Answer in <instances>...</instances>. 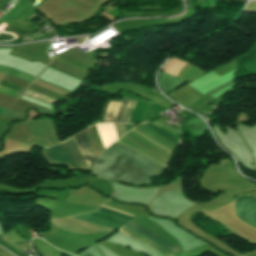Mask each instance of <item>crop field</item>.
Segmentation results:
<instances>
[{"label": "crop field", "mask_w": 256, "mask_h": 256, "mask_svg": "<svg viewBox=\"0 0 256 256\" xmlns=\"http://www.w3.org/2000/svg\"><path fill=\"white\" fill-rule=\"evenodd\" d=\"M103 155L149 177L160 175L165 170L149 159L116 143L107 148ZM103 155L100 156L94 166V172L97 176L106 177L109 180L121 181L133 185L152 184L149 177Z\"/></svg>", "instance_id": "1"}, {"label": "crop field", "mask_w": 256, "mask_h": 256, "mask_svg": "<svg viewBox=\"0 0 256 256\" xmlns=\"http://www.w3.org/2000/svg\"><path fill=\"white\" fill-rule=\"evenodd\" d=\"M117 137H120L126 132L125 125L124 124H113ZM112 124H104V125H96L94 126L99 138L104 146L106 148L108 145H110L112 142H114L117 137L114 131ZM73 139L80 150L85 162L87 163L89 168H92L95 157L92 154L91 150L89 149L87 143L85 142L84 138L82 137L81 133L73 136Z\"/></svg>", "instance_id": "2"}, {"label": "crop field", "mask_w": 256, "mask_h": 256, "mask_svg": "<svg viewBox=\"0 0 256 256\" xmlns=\"http://www.w3.org/2000/svg\"><path fill=\"white\" fill-rule=\"evenodd\" d=\"M132 232L138 234L139 236L147 239L148 241L156 244L157 246L163 248L164 250L172 253L173 255L181 253V249L175 247L174 245L170 244L169 242L163 240L162 238L156 236L155 234L151 233L150 231L144 229L143 227L139 226L134 222H129L125 226H123ZM121 227L119 230L130 236L131 238L135 239L136 241L140 242L141 244L155 250L156 252L160 253L163 256H172V254L164 251L163 249L157 247L156 245L148 242L147 240L139 237L138 235L132 233L131 231Z\"/></svg>", "instance_id": "3"}, {"label": "crop field", "mask_w": 256, "mask_h": 256, "mask_svg": "<svg viewBox=\"0 0 256 256\" xmlns=\"http://www.w3.org/2000/svg\"><path fill=\"white\" fill-rule=\"evenodd\" d=\"M71 163L84 162L81 154L79 153L72 137L66 142L62 143ZM62 145L52 148H46L43 152V157L50 163V165L68 164L70 170L87 168L85 163L71 164Z\"/></svg>", "instance_id": "4"}, {"label": "crop field", "mask_w": 256, "mask_h": 256, "mask_svg": "<svg viewBox=\"0 0 256 256\" xmlns=\"http://www.w3.org/2000/svg\"><path fill=\"white\" fill-rule=\"evenodd\" d=\"M102 207H105V208H108V209H111L114 211H118V210H115V209H112V208H109L106 206H102ZM102 207H100L97 211L86 213V214L76 215V216H73L70 218L78 219L81 221H85V222H89V223H93L96 225H100V226H104L107 228L117 230L118 228L123 226L125 223L131 221L133 219V217H135V216L130 217L132 215L127 216L129 214L124 215L126 213L121 212V211H118V212H121L124 214L117 213V212H114V211H111V210H108V209H105Z\"/></svg>", "instance_id": "5"}, {"label": "crop field", "mask_w": 256, "mask_h": 256, "mask_svg": "<svg viewBox=\"0 0 256 256\" xmlns=\"http://www.w3.org/2000/svg\"><path fill=\"white\" fill-rule=\"evenodd\" d=\"M136 102L137 101L135 100H123L121 103V101L112 100L107 109V112L105 114V117L102 123L115 121V117L119 109L120 103H121V106L118 111L115 122H129Z\"/></svg>", "instance_id": "6"}, {"label": "crop field", "mask_w": 256, "mask_h": 256, "mask_svg": "<svg viewBox=\"0 0 256 256\" xmlns=\"http://www.w3.org/2000/svg\"><path fill=\"white\" fill-rule=\"evenodd\" d=\"M241 197L235 199L234 202ZM255 209L256 199L244 196L235 202L236 217L256 228Z\"/></svg>", "instance_id": "7"}, {"label": "crop field", "mask_w": 256, "mask_h": 256, "mask_svg": "<svg viewBox=\"0 0 256 256\" xmlns=\"http://www.w3.org/2000/svg\"><path fill=\"white\" fill-rule=\"evenodd\" d=\"M125 135H127V136H129V137H131V138H133V139H135V140L141 142L142 144H144V145H146V146H148V147H150V148L156 150L157 152L163 154L164 156H166V157H168V158H170V159H171V157H172V156H170V155H168V154L162 152L161 150H159V149H157V148L151 146L150 144H148V143H146V142L140 140L139 138H137V137H135V136L129 134L128 132H127ZM116 143L122 144V145H124V146H126V147H128V148H130V149H132V150H134V151H136V152H138V153H140V154H142V155H144V156L150 158V159H152L154 162L160 164V165H161L162 167H164V168H166V166H167V165H165L164 163H162V162L158 161L157 159L153 158L152 156H150V155H148V154H146V153H144V152H142V151H140V150H138V149H136V148H134V147H132V146H130V145H128V144L122 142V141H120V140L116 141Z\"/></svg>", "instance_id": "8"}, {"label": "crop field", "mask_w": 256, "mask_h": 256, "mask_svg": "<svg viewBox=\"0 0 256 256\" xmlns=\"http://www.w3.org/2000/svg\"><path fill=\"white\" fill-rule=\"evenodd\" d=\"M0 86L9 88V89H11V90H14V91L20 92V93H22V92L25 90V88H22V87H19V86H15V85L6 83V82H4V81H2V82L0 83Z\"/></svg>", "instance_id": "9"}, {"label": "crop field", "mask_w": 256, "mask_h": 256, "mask_svg": "<svg viewBox=\"0 0 256 256\" xmlns=\"http://www.w3.org/2000/svg\"><path fill=\"white\" fill-rule=\"evenodd\" d=\"M42 30V28H39V30L38 31H41ZM39 34H41V33H39V32H37V31H35V32H33V33H31V35H32V37H34V36H37V35H39ZM27 36H30V34L29 35H27ZM40 36H43V35H40ZM40 36H38V37H40ZM31 37V36H30ZM30 37H26V36H24V37H22V40H21V42H23V41H27V40H31V38ZM35 38H37V37H35ZM34 38V39H35Z\"/></svg>", "instance_id": "10"}, {"label": "crop field", "mask_w": 256, "mask_h": 256, "mask_svg": "<svg viewBox=\"0 0 256 256\" xmlns=\"http://www.w3.org/2000/svg\"><path fill=\"white\" fill-rule=\"evenodd\" d=\"M5 115L10 116V117H12V118H15V119H17V120H22V119H24V116H21V115H19V114L13 113V112H11V111H9V110L5 113Z\"/></svg>", "instance_id": "11"}, {"label": "crop field", "mask_w": 256, "mask_h": 256, "mask_svg": "<svg viewBox=\"0 0 256 256\" xmlns=\"http://www.w3.org/2000/svg\"><path fill=\"white\" fill-rule=\"evenodd\" d=\"M148 126H150L154 131H156L158 134H160V135H162V136H164V137H166V138H168V139H170V140H172V141H174V142H178V141H176V140H174L173 138H171V137H169V136H167L166 134H164V133H162L161 131H159L157 128H155L153 125H151V124H148Z\"/></svg>", "instance_id": "12"}, {"label": "crop field", "mask_w": 256, "mask_h": 256, "mask_svg": "<svg viewBox=\"0 0 256 256\" xmlns=\"http://www.w3.org/2000/svg\"><path fill=\"white\" fill-rule=\"evenodd\" d=\"M232 83H234V81H232V82H230V83H228V84H226V85H224V86L220 87L219 89H217V90H215V91H213V92L209 93L208 95H210V96H211V95H213V94L217 93L218 91L222 90L223 88H225V87L229 86V85H230V84H232Z\"/></svg>", "instance_id": "13"}, {"label": "crop field", "mask_w": 256, "mask_h": 256, "mask_svg": "<svg viewBox=\"0 0 256 256\" xmlns=\"http://www.w3.org/2000/svg\"><path fill=\"white\" fill-rule=\"evenodd\" d=\"M6 111V109L0 107V113L3 114Z\"/></svg>", "instance_id": "14"}]
</instances>
